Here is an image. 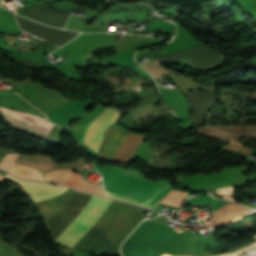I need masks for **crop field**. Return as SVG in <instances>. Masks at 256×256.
I'll use <instances>...</instances> for the list:
<instances>
[{"mask_svg":"<svg viewBox=\"0 0 256 256\" xmlns=\"http://www.w3.org/2000/svg\"><path fill=\"white\" fill-rule=\"evenodd\" d=\"M36 204L43 220L60 204L66 194ZM91 194L73 189L55 211L44 220L55 239L85 206ZM111 199L92 195L86 206L62 231L55 242L73 247L96 223L111 203ZM145 218L139 207L112 201L94 225L102 231L118 249L137 224Z\"/></svg>","mask_w":256,"mask_h":256,"instance_id":"crop-field-1","label":"crop field"},{"mask_svg":"<svg viewBox=\"0 0 256 256\" xmlns=\"http://www.w3.org/2000/svg\"><path fill=\"white\" fill-rule=\"evenodd\" d=\"M103 181L107 196L153 208L170 188L106 168Z\"/></svg>","mask_w":256,"mask_h":256,"instance_id":"crop-field-2","label":"crop field"},{"mask_svg":"<svg viewBox=\"0 0 256 256\" xmlns=\"http://www.w3.org/2000/svg\"><path fill=\"white\" fill-rule=\"evenodd\" d=\"M126 135L127 133L123 132L120 128L113 124L105 132L104 141L101 145V150L98 157L112 161ZM145 138L146 137L128 133L113 161L128 163L131 156H133L134 152Z\"/></svg>","mask_w":256,"mask_h":256,"instance_id":"crop-field-3","label":"crop field"},{"mask_svg":"<svg viewBox=\"0 0 256 256\" xmlns=\"http://www.w3.org/2000/svg\"><path fill=\"white\" fill-rule=\"evenodd\" d=\"M1 117L10 125L46 140L54 124L31 113L13 111L0 106Z\"/></svg>","mask_w":256,"mask_h":256,"instance_id":"crop-field-4","label":"crop field"},{"mask_svg":"<svg viewBox=\"0 0 256 256\" xmlns=\"http://www.w3.org/2000/svg\"><path fill=\"white\" fill-rule=\"evenodd\" d=\"M151 59H163L169 61L181 60L189 57L193 68L212 66L220 61L217 47L209 49L208 46H193L166 56H150Z\"/></svg>","mask_w":256,"mask_h":256,"instance_id":"crop-field-5","label":"crop field"},{"mask_svg":"<svg viewBox=\"0 0 256 256\" xmlns=\"http://www.w3.org/2000/svg\"><path fill=\"white\" fill-rule=\"evenodd\" d=\"M120 113L112 108H107L90 124L83 142L92 150L98 153L103 137V131L111 126Z\"/></svg>","mask_w":256,"mask_h":256,"instance_id":"crop-field-6","label":"crop field"},{"mask_svg":"<svg viewBox=\"0 0 256 256\" xmlns=\"http://www.w3.org/2000/svg\"><path fill=\"white\" fill-rule=\"evenodd\" d=\"M16 19L20 28L33 33L41 38H44L49 41L59 43L61 45L67 43L71 39L75 38L78 33L69 32L65 30L55 29L45 27L43 25L37 24L35 22L29 21L19 15H16Z\"/></svg>","mask_w":256,"mask_h":256,"instance_id":"crop-field-7","label":"crop field"},{"mask_svg":"<svg viewBox=\"0 0 256 256\" xmlns=\"http://www.w3.org/2000/svg\"><path fill=\"white\" fill-rule=\"evenodd\" d=\"M47 181L63 183L68 186L80 188L89 192L105 195L102 185L92 183L83 179V177L75 172L68 170H55L45 175Z\"/></svg>","mask_w":256,"mask_h":256,"instance_id":"crop-field-8","label":"crop field"},{"mask_svg":"<svg viewBox=\"0 0 256 256\" xmlns=\"http://www.w3.org/2000/svg\"><path fill=\"white\" fill-rule=\"evenodd\" d=\"M74 248L111 255H121L118 249L108 241L105 235L94 227L78 241Z\"/></svg>","mask_w":256,"mask_h":256,"instance_id":"crop-field-9","label":"crop field"},{"mask_svg":"<svg viewBox=\"0 0 256 256\" xmlns=\"http://www.w3.org/2000/svg\"><path fill=\"white\" fill-rule=\"evenodd\" d=\"M7 177L20 185L28 193L33 203L55 197L67 190L66 187L52 186L36 182H25L8 174Z\"/></svg>","mask_w":256,"mask_h":256,"instance_id":"crop-field-10","label":"crop field"},{"mask_svg":"<svg viewBox=\"0 0 256 256\" xmlns=\"http://www.w3.org/2000/svg\"><path fill=\"white\" fill-rule=\"evenodd\" d=\"M251 210L239 207L237 205L222 201L218 203L216 206L212 207L211 213L212 218L211 220L215 224V226H224L229 224L247 213Z\"/></svg>","mask_w":256,"mask_h":256,"instance_id":"crop-field-11","label":"crop field"},{"mask_svg":"<svg viewBox=\"0 0 256 256\" xmlns=\"http://www.w3.org/2000/svg\"><path fill=\"white\" fill-rule=\"evenodd\" d=\"M192 101L195 111V127L204 124L207 111L216 105V92L187 93Z\"/></svg>","mask_w":256,"mask_h":256,"instance_id":"crop-field-12","label":"crop field"},{"mask_svg":"<svg viewBox=\"0 0 256 256\" xmlns=\"http://www.w3.org/2000/svg\"><path fill=\"white\" fill-rule=\"evenodd\" d=\"M20 10L34 19L57 27H63L69 15V13L50 9L46 6H35Z\"/></svg>","mask_w":256,"mask_h":256,"instance_id":"crop-field-13","label":"crop field"},{"mask_svg":"<svg viewBox=\"0 0 256 256\" xmlns=\"http://www.w3.org/2000/svg\"><path fill=\"white\" fill-rule=\"evenodd\" d=\"M9 172L14 173V174L24 177V178H30V179L44 181V179L42 178V176L40 175V173L38 171H36L35 169L21 166L19 164L13 163V165L9 169Z\"/></svg>","mask_w":256,"mask_h":256,"instance_id":"crop-field-14","label":"crop field"},{"mask_svg":"<svg viewBox=\"0 0 256 256\" xmlns=\"http://www.w3.org/2000/svg\"><path fill=\"white\" fill-rule=\"evenodd\" d=\"M187 193L171 190L161 201L160 203L172 205L179 207L182 206ZM188 195V194H187Z\"/></svg>","mask_w":256,"mask_h":256,"instance_id":"crop-field-15","label":"crop field"},{"mask_svg":"<svg viewBox=\"0 0 256 256\" xmlns=\"http://www.w3.org/2000/svg\"><path fill=\"white\" fill-rule=\"evenodd\" d=\"M145 68L154 78L155 80L166 76L169 71L160 67V66H150V65H141Z\"/></svg>","mask_w":256,"mask_h":256,"instance_id":"crop-field-16","label":"crop field"},{"mask_svg":"<svg viewBox=\"0 0 256 256\" xmlns=\"http://www.w3.org/2000/svg\"><path fill=\"white\" fill-rule=\"evenodd\" d=\"M0 256H20L14 247L0 238Z\"/></svg>","mask_w":256,"mask_h":256,"instance_id":"crop-field-17","label":"crop field"},{"mask_svg":"<svg viewBox=\"0 0 256 256\" xmlns=\"http://www.w3.org/2000/svg\"><path fill=\"white\" fill-rule=\"evenodd\" d=\"M17 156H18L17 153L7 154L6 157L3 159V161L0 163V167L8 170V168L10 167V165L13 163V161Z\"/></svg>","mask_w":256,"mask_h":256,"instance_id":"crop-field-18","label":"crop field"},{"mask_svg":"<svg viewBox=\"0 0 256 256\" xmlns=\"http://www.w3.org/2000/svg\"><path fill=\"white\" fill-rule=\"evenodd\" d=\"M5 157V154H0V161Z\"/></svg>","mask_w":256,"mask_h":256,"instance_id":"crop-field-19","label":"crop field"},{"mask_svg":"<svg viewBox=\"0 0 256 256\" xmlns=\"http://www.w3.org/2000/svg\"><path fill=\"white\" fill-rule=\"evenodd\" d=\"M5 178L2 176V175H0V181H3Z\"/></svg>","mask_w":256,"mask_h":256,"instance_id":"crop-field-20","label":"crop field"}]
</instances>
